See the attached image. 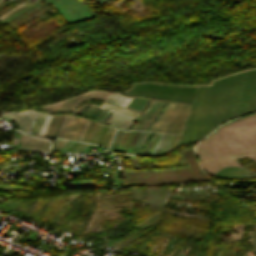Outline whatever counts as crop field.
<instances>
[{
    "mask_svg": "<svg viewBox=\"0 0 256 256\" xmlns=\"http://www.w3.org/2000/svg\"><path fill=\"white\" fill-rule=\"evenodd\" d=\"M159 215H160V212H158V213L148 217L145 221H143L142 223L136 225L135 227L138 230L140 229L141 231H143V230L147 229L148 227H150L151 225H153L154 223H156L157 221H159ZM140 230L135 232V233H133V234H131V235H129V236H127V237H125V238H123V239H121V240H119V241H117V242H115V243H113V245L118 246V244L121 241H123V240H125V239H127V238H129V237H131V236L141 232Z\"/></svg>",
    "mask_w": 256,
    "mask_h": 256,
    "instance_id": "obj_9",
    "label": "crop field"
},
{
    "mask_svg": "<svg viewBox=\"0 0 256 256\" xmlns=\"http://www.w3.org/2000/svg\"><path fill=\"white\" fill-rule=\"evenodd\" d=\"M43 114H40V116H39V118H38V121H37V123H36V125H35V128H34V132H38V129H39V127H40V124H41V121H42V119H43ZM66 116V115H65ZM49 117H50V115H45L44 116V119H43V121H42V124H41V127H40V129H39V134H44V131H45V128H46V125H47V123H48V120H49ZM52 117L53 116H51L50 117V120H49V123H48V126H47V128H46V131H45V134H46V132H47V129H48V127H49V124H50V122H51V119H52ZM67 117V116H66ZM69 117V116H68ZM68 117H67V119H68ZM65 118V117H64ZM75 118L76 117H74V116H70L69 117V119H68V122H67V119H66V122H67V124H66V122H65V124H66V127H65V129H64V127H63V129H64V131H63V129H62V131H63V134H62V131H61V134H62V136H61V134H60V136L61 137H63V138H67L68 137V135H69V132H70V130H71V127H72V125H73V123H74V120H75ZM79 119V118H78ZM83 120L84 119H82V122H83ZM63 121H64V119H63ZM63 121H62V123H63ZM88 121L89 120H87V119H85L84 120V122H83V124H82V122H81V124H82V127H81V124H80V127H81V129H80V127H79V129H80V131H79V134L77 133V131H76V133L78 134V136L76 135V133H75V135L77 136V140H81L82 139V137H83V134H84V131H85V129H86V126H87V123H88ZM77 122H78V120H77ZM65 124H64V126H65ZM77 124V123H76ZM62 125V124H61ZM75 127H76V125H75ZM60 128H61V126H60ZM60 128H59V130H60ZM74 130H75V128H74ZM114 128H111V127H109V126H107V125H104V124H100V123H96V122H92V124H91V126H90V129H89V131H88V133H87V136H86V138H85V142H90V143H98V144H105V145H108L109 144V142H110V139H111V137H112V135H113V132H114ZM73 131V130H72ZM58 133H59V131H58ZM58 133H57V135H58ZM72 133V132H71ZM73 133H74V131H73ZM73 133H72V135H73ZM44 134V135H45ZM56 135V136H57ZM59 136V135H58ZM59 136V137H60ZM71 136V135H70ZM70 138V137H69ZM71 138H72V136H71ZM70 138V139H71ZM74 138H75V136H74ZM73 138V139H74Z\"/></svg>",
    "mask_w": 256,
    "mask_h": 256,
    "instance_id": "obj_2",
    "label": "crop field"
},
{
    "mask_svg": "<svg viewBox=\"0 0 256 256\" xmlns=\"http://www.w3.org/2000/svg\"><path fill=\"white\" fill-rule=\"evenodd\" d=\"M0 189H20V190H29V189H21V188H10V187H1Z\"/></svg>",
    "mask_w": 256,
    "mask_h": 256,
    "instance_id": "obj_17",
    "label": "crop field"
},
{
    "mask_svg": "<svg viewBox=\"0 0 256 256\" xmlns=\"http://www.w3.org/2000/svg\"><path fill=\"white\" fill-rule=\"evenodd\" d=\"M218 256H220V253L218 254Z\"/></svg>",
    "mask_w": 256,
    "mask_h": 256,
    "instance_id": "obj_22",
    "label": "crop field"
},
{
    "mask_svg": "<svg viewBox=\"0 0 256 256\" xmlns=\"http://www.w3.org/2000/svg\"><path fill=\"white\" fill-rule=\"evenodd\" d=\"M88 144L86 143H80L77 142L76 144H74L72 147H70L68 150L66 151H81L84 147H86Z\"/></svg>",
    "mask_w": 256,
    "mask_h": 256,
    "instance_id": "obj_15",
    "label": "crop field"
},
{
    "mask_svg": "<svg viewBox=\"0 0 256 256\" xmlns=\"http://www.w3.org/2000/svg\"><path fill=\"white\" fill-rule=\"evenodd\" d=\"M119 132H120V131H118L117 134H116V137H115V139H114V142H113V144H112V147H113V145H114V143H115V141H116V139H117V137H118ZM121 133H122V132H120L119 137H120ZM123 133H124V132H123ZM123 133H122V135H123ZM145 133H146V132H145ZM145 133H144V135H145ZM148 133H149V132H148ZM148 133H147V135H148ZM122 135H121V137H120V140H121V138H122ZM142 135H143V132H140L131 152H133V153L136 152L137 146H138V144H139V142H140V139H141ZM144 135H143V137H144ZM147 135H146V137H147ZM119 137H118V139H117V142H118V140H119ZM143 137H142V139H143ZM144 138H145V137H144ZM142 139H141V141H142ZM120 140H119V142H118V145H119V143H120ZM143 140H144V139H143ZM145 140H146V138H145ZM145 140H144V142H145ZM117 142H116V144H115V147H116V145H117ZM142 142H143V141H142ZM140 144H141V142H140ZM140 144H139V146H138V149H139V147H140ZM118 145H117L116 149H115V147H114L115 150H117ZM141 145H142V144H141ZM143 145H144V143H143ZM143 145H142V147H143ZM112 147H111V149H112ZM142 147H141V149H142ZM111 149H110V150H111ZM114 149H113V150H114ZM138 149H137V152H138ZM139 150H140V149H139ZM137 152H136V153H137Z\"/></svg>",
    "mask_w": 256,
    "mask_h": 256,
    "instance_id": "obj_11",
    "label": "crop field"
},
{
    "mask_svg": "<svg viewBox=\"0 0 256 256\" xmlns=\"http://www.w3.org/2000/svg\"><path fill=\"white\" fill-rule=\"evenodd\" d=\"M135 239H137V238H135V237L133 236V237H131V238H129V239H127V240L121 242L120 245H119V247L117 248V250L122 251V249L125 247V245H126L127 243H129V242H131V241H133V240H135Z\"/></svg>",
    "mask_w": 256,
    "mask_h": 256,
    "instance_id": "obj_16",
    "label": "crop field"
},
{
    "mask_svg": "<svg viewBox=\"0 0 256 256\" xmlns=\"http://www.w3.org/2000/svg\"><path fill=\"white\" fill-rule=\"evenodd\" d=\"M96 108V105L90 104V106L87 108V110L84 112V115L90 116V114L93 112V110ZM108 112V109L104 108L103 111L98 115L97 119L102 120V118L105 116V114Z\"/></svg>",
    "mask_w": 256,
    "mask_h": 256,
    "instance_id": "obj_13",
    "label": "crop field"
},
{
    "mask_svg": "<svg viewBox=\"0 0 256 256\" xmlns=\"http://www.w3.org/2000/svg\"><path fill=\"white\" fill-rule=\"evenodd\" d=\"M28 111H29V110H28ZM28 111H27V112H28ZM25 112H26V111H23V112H21V113L19 112L20 114L18 113L19 115L17 114L18 116L16 115L17 117L15 116L16 118L14 117L15 119L13 118L14 120H13V119H12V120L15 122V121H16L22 114H24ZM29 112H30V111H29ZM29 112H28V113H29ZM31 112H32V111H31ZM31 112H30V113H31ZM33 112H34V111H33ZM33 112H32V113H33ZM30 113H29V114H30ZM32 113H31V114H32ZM34 113H35V112H34ZM34 113H33V114H34ZM37 113H38V112H37ZM37 113H36V114H37ZM5 114H6V113H5ZM5 114H3L2 117H3ZM15 114H16V113H7V114L4 116V118L10 119V118H12ZM26 114H27V113H26ZM26 114H25V115H26ZM29 114H28V115H29ZM31 114H30V115H31ZM36 114H35V115H36ZM25 115H24V116H25ZM28 115H26L25 117L23 116L24 118L21 116L23 119L20 120V119H21V118H20V119H19L20 121L18 120L19 122H18V121H17L18 123L16 122L17 125L20 124ZM35 115H34V116H35ZM32 116H33V115H32ZM32 116H31V117H32ZM34 116H33V117H34ZM29 117H30V116H29ZM29 117H28V118H29ZM31 117H30V118H31ZM33 117H32V118H33ZM35 117H36V116H35ZM35 117H34V118H35ZM28 118H27V119H28ZM30 118H29V119H30ZM32 118H31V119H32ZM34 118H33V119H34ZM27 119H26V120H27ZM29 119H28V120H29ZM31 119H30V120H31ZM33 119H32V120H33ZM30 120H29V121H30ZM32 120H31V121H32ZM29 121H27V122H29ZM31 121H30V122H31ZM27 122H26V123H27ZM30 122H29V123H30ZM32 122H33V121H32ZM32 122H31L30 124L27 123L28 125L24 122V123L27 125V126H26V125L23 123L26 127L21 123V124L25 127V128H24V127L20 124L24 129H23L20 125H19V126L23 129V131L28 132V130H29V128H30ZM18 128H19V127H18ZM22 129H20V130H22ZM30 129H31V128H30Z\"/></svg>",
    "mask_w": 256,
    "mask_h": 256,
    "instance_id": "obj_10",
    "label": "crop field"
},
{
    "mask_svg": "<svg viewBox=\"0 0 256 256\" xmlns=\"http://www.w3.org/2000/svg\"><path fill=\"white\" fill-rule=\"evenodd\" d=\"M133 120H134V117L115 111L111 115V117L107 120V122H110L112 124L128 129V127L130 126Z\"/></svg>",
    "mask_w": 256,
    "mask_h": 256,
    "instance_id": "obj_8",
    "label": "crop field"
},
{
    "mask_svg": "<svg viewBox=\"0 0 256 256\" xmlns=\"http://www.w3.org/2000/svg\"><path fill=\"white\" fill-rule=\"evenodd\" d=\"M19 6H20V5H19ZM23 6H24V5H23ZM17 7H18V6H17ZM21 7H22V6H21ZM7 13H8V12H7ZM5 14H6V13H5ZM5 14H4V15H5ZM4 15H3V16H4ZM6 15H7V14H6ZM6 15H5V16H6ZM5 16H4V17H5ZM1 17H2V16H1ZM1 17H0V18H1ZM4 17H2V18H4ZM2 18H1V19H2ZM1 19H0V20H1Z\"/></svg>",
    "mask_w": 256,
    "mask_h": 256,
    "instance_id": "obj_20",
    "label": "crop field"
},
{
    "mask_svg": "<svg viewBox=\"0 0 256 256\" xmlns=\"http://www.w3.org/2000/svg\"><path fill=\"white\" fill-rule=\"evenodd\" d=\"M235 74L226 77L219 78L211 82L210 90L209 85L199 86H176L164 83H140L133 85L147 86L161 89L181 90L196 92H181L171 90H161L146 88L140 86H133L132 89L126 91V95H144L160 97L164 99L174 101H193L195 100L191 108L189 118L184 129L180 145L190 143L192 134V126L195 118V113L198 105L200 87V99L196 113V118L193 126V134L191 142L199 139L201 122L204 114L206 97V109L202 122L200 137L208 134L214 127L221 124L222 121L227 119L228 108L231 99L232 88L234 86ZM256 109V69L246 70L244 72H238L236 74L235 86L233 88L231 104L228 113V119L233 116L245 113L247 111Z\"/></svg>",
    "mask_w": 256,
    "mask_h": 256,
    "instance_id": "obj_1",
    "label": "crop field"
},
{
    "mask_svg": "<svg viewBox=\"0 0 256 256\" xmlns=\"http://www.w3.org/2000/svg\"><path fill=\"white\" fill-rule=\"evenodd\" d=\"M171 103H169L168 104V106L165 108V110L161 113V115L157 118V120L154 122V124L150 127V129H149V131H151V129L154 127V125L157 123V121L160 119V117L163 115V113L166 111V109L169 107V105H170ZM173 106V104H171V106L168 108V110L165 112V114L162 116V118L159 120V122L156 124V126L153 128V130L152 131H155V129L157 128V126L159 125V123L162 121V119L165 117V115L167 114V112L170 110V108ZM175 106H176V104H175ZM174 106V107H175ZM180 106L181 105H179V104H177V106L174 108V110L172 111V113H171V111H170V115H169V117H168V115H167V119H166V121H165V119H164V124H163V122L161 123V128H160V126L158 127V131L159 132H161L162 130H163V128L166 126V124L169 122V120L172 118V116L176 113V111L180 108ZM190 106L191 105H188L187 106V108L185 109L184 107H185V105H182L181 106V108L177 111V113L174 115V117L171 119V121L168 123V125L165 127V129L163 130V132H166L168 129H169V127L173 124V122L176 120V118L179 116V114L181 113V111L183 110V108L185 109V111L182 113V115L179 117V119L174 123V125L168 130V132H170V133H177V134H180L181 133V130H182V127H183V125H184V121H185V118H186V116H187V114H188V111H189V108H190ZM156 130V131H157Z\"/></svg>",
    "mask_w": 256,
    "mask_h": 256,
    "instance_id": "obj_3",
    "label": "crop field"
},
{
    "mask_svg": "<svg viewBox=\"0 0 256 256\" xmlns=\"http://www.w3.org/2000/svg\"><path fill=\"white\" fill-rule=\"evenodd\" d=\"M103 106H106V107H109L111 109L126 113V114L134 116V117H136L137 114H138V112H136L134 110L126 109V108L120 107L118 105L112 104V103L107 102V101L104 102Z\"/></svg>",
    "mask_w": 256,
    "mask_h": 256,
    "instance_id": "obj_12",
    "label": "crop field"
},
{
    "mask_svg": "<svg viewBox=\"0 0 256 256\" xmlns=\"http://www.w3.org/2000/svg\"><path fill=\"white\" fill-rule=\"evenodd\" d=\"M205 256V255H204Z\"/></svg>",
    "mask_w": 256,
    "mask_h": 256,
    "instance_id": "obj_23",
    "label": "crop field"
},
{
    "mask_svg": "<svg viewBox=\"0 0 256 256\" xmlns=\"http://www.w3.org/2000/svg\"><path fill=\"white\" fill-rule=\"evenodd\" d=\"M81 97V95H79V97L76 99V101L73 103V105L71 106V108L68 110L71 111V109L73 108V106L75 105V103L78 101V99ZM63 103V101L59 102V103H55V104H51V105H47V106H44V109H47L49 111H53V112H56L57 109L60 107V105Z\"/></svg>",
    "mask_w": 256,
    "mask_h": 256,
    "instance_id": "obj_14",
    "label": "crop field"
},
{
    "mask_svg": "<svg viewBox=\"0 0 256 256\" xmlns=\"http://www.w3.org/2000/svg\"><path fill=\"white\" fill-rule=\"evenodd\" d=\"M244 255H245V256H249L248 253H245Z\"/></svg>",
    "mask_w": 256,
    "mask_h": 256,
    "instance_id": "obj_21",
    "label": "crop field"
},
{
    "mask_svg": "<svg viewBox=\"0 0 256 256\" xmlns=\"http://www.w3.org/2000/svg\"><path fill=\"white\" fill-rule=\"evenodd\" d=\"M251 232H252V231H251ZM253 233H254V232H253ZM254 234H255V233H254ZM251 235L256 239V236H255V235H253L252 233H251ZM251 235H250V238H252V239L256 242V240H255ZM252 239H250V240L256 245V243H255Z\"/></svg>",
    "mask_w": 256,
    "mask_h": 256,
    "instance_id": "obj_18",
    "label": "crop field"
},
{
    "mask_svg": "<svg viewBox=\"0 0 256 256\" xmlns=\"http://www.w3.org/2000/svg\"><path fill=\"white\" fill-rule=\"evenodd\" d=\"M162 136H163V134H162ZM162 136L160 137V139L158 140L157 144L155 145V147H154L153 150L151 151V154H153V152H154L155 148L157 147L159 141L161 140ZM167 136H168V134H164V136H163L162 140L160 141L158 147L156 148L154 154H157L159 148L161 147V145L163 144V142H164V140L166 139ZM178 137H179V136L170 135V137L168 138L167 142H166L165 145L163 146L162 150L160 149V150H161V152L159 151L160 154H164V153H166V152H168V151L173 150V148H174V146H175V144H176V142H177V140H178ZM158 154H159V153H158Z\"/></svg>",
    "mask_w": 256,
    "mask_h": 256,
    "instance_id": "obj_7",
    "label": "crop field"
},
{
    "mask_svg": "<svg viewBox=\"0 0 256 256\" xmlns=\"http://www.w3.org/2000/svg\"><path fill=\"white\" fill-rule=\"evenodd\" d=\"M19 147L49 150L50 142L46 140L22 135Z\"/></svg>",
    "mask_w": 256,
    "mask_h": 256,
    "instance_id": "obj_6",
    "label": "crop field"
},
{
    "mask_svg": "<svg viewBox=\"0 0 256 256\" xmlns=\"http://www.w3.org/2000/svg\"><path fill=\"white\" fill-rule=\"evenodd\" d=\"M37 1H39V0H37ZM37 1H35V2H37ZM35 2H34V3H35ZM32 4H33V3H32ZM29 5H30V4H29ZM27 6H28V5H27ZM24 7H25V6H24ZM22 8H23V7H22ZM20 9H21V8H20ZM18 10H19V9H18ZM15 11H17V10H15ZM15 11H13L12 13H14ZM12 13H10V14H12ZM10 14H9V15H10ZM9 15H7L6 17H8ZM6 17H5V18H6ZM5 18H4V19H5ZM4 19H3V20H4ZM3 20H2V21H3ZM0 22H1V21H0Z\"/></svg>",
    "mask_w": 256,
    "mask_h": 256,
    "instance_id": "obj_19",
    "label": "crop field"
},
{
    "mask_svg": "<svg viewBox=\"0 0 256 256\" xmlns=\"http://www.w3.org/2000/svg\"><path fill=\"white\" fill-rule=\"evenodd\" d=\"M164 104L165 102L153 101L133 129L146 130Z\"/></svg>",
    "mask_w": 256,
    "mask_h": 256,
    "instance_id": "obj_4",
    "label": "crop field"
},
{
    "mask_svg": "<svg viewBox=\"0 0 256 256\" xmlns=\"http://www.w3.org/2000/svg\"><path fill=\"white\" fill-rule=\"evenodd\" d=\"M125 97L126 96L113 94V93H110V92L89 91V92L83 94V96L81 97L80 100L88 99V98H95V99L107 100V101H110V102H113L115 104L120 105ZM129 99H130V97H126L121 105L125 106L126 103L129 101Z\"/></svg>",
    "mask_w": 256,
    "mask_h": 256,
    "instance_id": "obj_5",
    "label": "crop field"
}]
</instances>
